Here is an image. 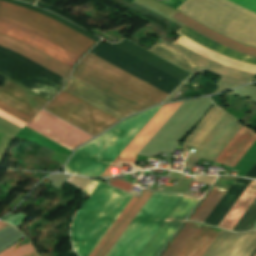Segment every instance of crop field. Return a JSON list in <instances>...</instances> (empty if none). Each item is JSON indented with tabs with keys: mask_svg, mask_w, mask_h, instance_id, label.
I'll use <instances>...</instances> for the list:
<instances>
[{
	"mask_svg": "<svg viewBox=\"0 0 256 256\" xmlns=\"http://www.w3.org/2000/svg\"><path fill=\"white\" fill-rule=\"evenodd\" d=\"M182 102L154 107L121 122L79 148L65 166L66 170L77 175L100 176L163 107L101 176L111 175V168L119 160L135 162L136 154Z\"/></svg>",
	"mask_w": 256,
	"mask_h": 256,
	"instance_id": "obj_1",
	"label": "crop field"
},
{
	"mask_svg": "<svg viewBox=\"0 0 256 256\" xmlns=\"http://www.w3.org/2000/svg\"><path fill=\"white\" fill-rule=\"evenodd\" d=\"M0 21L32 31L79 58L95 43L48 17L1 1ZM4 22H0V34L22 41L71 68L79 59L32 32Z\"/></svg>",
	"mask_w": 256,
	"mask_h": 256,
	"instance_id": "obj_2",
	"label": "crop field"
},
{
	"mask_svg": "<svg viewBox=\"0 0 256 256\" xmlns=\"http://www.w3.org/2000/svg\"><path fill=\"white\" fill-rule=\"evenodd\" d=\"M84 192L90 198L79 209L71 229L79 256L91 253L133 196L98 180H92Z\"/></svg>",
	"mask_w": 256,
	"mask_h": 256,
	"instance_id": "obj_3",
	"label": "crop field"
},
{
	"mask_svg": "<svg viewBox=\"0 0 256 256\" xmlns=\"http://www.w3.org/2000/svg\"><path fill=\"white\" fill-rule=\"evenodd\" d=\"M256 13V0H229ZM227 0H187L177 10L241 43L256 47V14Z\"/></svg>",
	"mask_w": 256,
	"mask_h": 256,
	"instance_id": "obj_4",
	"label": "crop field"
},
{
	"mask_svg": "<svg viewBox=\"0 0 256 256\" xmlns=\"http://www.w3.org/2000/svg\"><path fill=\"white\" fill-rule=\"evenodd\" d=\"M181 197L153 192L107 256H137Z\"/></svg>",
	"mask_w": 256,
	"mask_h": 256,
	"instance_id": "obj_5",
	"label": "crop field"
},
{
	"mask_svg": "<svg viewBox=\"0 0 256 256\" xmlns=\"http://www.w3.org/2000/svg\"><path fill=\"white\" fill-rule=\"evenodd\" d=\"M44 110L93 135L119 121L63 90L44 107Z\"/></svg>",
	"mask_w": 256,
	"mask_h": 256,
	"instance_id": "obj_6",
	"label": "crop field"
},
{
	"mask_svg": "<svg viewBox=\"0 0 256 256\" xmlns=\"http://www.w3.org/2000/svg\"><path fill=\"white\" fill-rule=\"evenodd\" d=\"M175 42V41H174ZM167 44L162 39L148 51L180 67L181 69L193 73L200 66L221 76L247 82L253 74L238 71L212 62L176 43Z\"/></svg>",
	"mask_w": 256,
	"mask_h": 256,
	"instance_id": "obj_7",
	"label": "crop field"
},
{
	"mask_svg": "<svg viewBox=\"0 0 256 256\" xmlns=\"http://www.w3.org/2000/svg\"><path fill=\"white\" fill-rule=\"evenodd\" d=\"M28 128L57 142L58 144L74 150L77 146L88 141L92 136L67 124L55 116L41 110L28 124Z\"/></svg>",
	"mask_w": 256,
	"mask_h": 256,
	"instance_id": "obj_8",
	"label": "crop field"
},
{
	"mask_svg": "<svg viewBox=\"0 0 256 256\" xmlns=\"http://www.w3.org/2000/svg\"><path fill=\"white\" fill-rule=\"evenodd\" d=\"M90 53V52H89ZM87 54L79 63L143 96L144 98L159 104L168 94L143 82L142 80L116 68L115 66L91 55Z\"/></svg>",
	"mask_w": 256,
	"mask_h": 256,
	"instance_id": "obj_9",
	"label": "crop field"
},
{
	"mask_svg": "<svg viewBox=\"0 0 256 256\" xmlns=\"http://www.w3.org/2000/svg\"><path fill=\"white\" fill-rule=\"evenodd\" d=\"M72 76L84 81L85 83L97 88L98 90L112 96L113 98L138 111L153 105V103L143 99L142 97L130 92L129 90L117 85L116 83L106 79L105 77L80 64Z\"/></svg>",
	"mask_w": 256,
	"mask_h": 256,
	"instance_id": "obj_10",
	"label": "crop field"
},
{
	"mask_svg": "<svg viewBox=\"0 0 256 256\" xmlns=\"http://www.w3.org/2000/svg\"><path fill=\"white\" fill-rule=\"evenodd\" d=\"M256 250V231H221L203 256H251Z\"/></svg>",
	"mask_w": 256,
	"mask_h": 256,
	"instance_id": "obj_11",
	"label": "crop field"
},
{
	"mask_svg": "<svg viewBox=\"0 0 256 256\" xmlns=\"http://www.w3.org/2000/svg\"><path fill=\"white\" fill-rule=\"evenodd\" d=\"M64 90L82 98L83 100L101 108L102 110L120 119L137 112L136 110L126 106L125 104L113 99L112 97L98 91L97 89L85 84L84 82L74 77L70 78Z\"/></svg>",
	"mask_w": 256,
	"mask_h": 256,
	"instance_id": "obj_12",
	"label": "crop field"
},
{
	"mask_svg": "<svg viewBox=\"0 0 256 256\" xmlns=\"http://www.w3.org/2000/svg\"><path fill=\"white\" fill-rule=\"evenodd\" d=\"M241 125L225 113L192 156L213 161Z\"/></svg>",
	"mask_w": 256,
	"mask_h": 256,
	"instance_id": "obj_13",
	"label": "crop field"
},
{
	"mask_svg": "<svg viewBox=\"0 0 256 256\" xmlns=\"http://www.w3.org/2000/svg\"><path fill=\"white\" fill-rule=\"evenodd\" d=\"M0 101L32 118L48 102L8 80L0 87Z\"/></svg>",
	"mask_w": 256,
	"mask_h": 256,
	"instance_id": "obj_14",
	"label": "crop field"
},
{
	"mask_svg": "<svg viewBox=\"0 0 256 256\" xmlns=\"http://www.w3.org/2000/svg\"><path fill=\"white\" fill-rule=\"evenodd\" d=\"M0 46L17 52L66 79L72 70L35 49L3 35H0Z\"/></svg>",
	"mask_w": 256,
	"mask_h": 256,
	"instance_id": "obj_15",
	"label": "crop field"
},
{
	"mask_svg": "<svg viewBox=\"0 0 256 256\" xmlns=\"http://www.w3.org/2000/svg\"><path fill=\"white\" fill-rule=\"evenodd\" d=\"M255 140L256 133L243 126L215 162L233 167Z\"/></svg>",
	"mask_w": 256,
	"mask_h": 256,
	"instance_id": "obj_16",
	"label": "crop field"
},
{
	"mask_svg": "<svg viewBox=\"0 0 256 256\" xmlns=\"http://www.w3.org/2000/svg\"><path fill=\"white\" fill-rule=\"evenodd\" d=\"M171 18L183 23L184 25L194 29L195 31L231 48L234 50H237L242 53L250 54L253 56H256V48L248 47L243 44H240L236 41H233L227 37H224L205 26L199 24L198 22L194 21L193 19L185 16L184 14L177 12L175 15H173Z\"/></svg>",
	"mask_w": 256,
	"mask_h": 256,
	"instance_id": "obj_17",
	"label": "crop field"
},
{
	"mask_svg": "<svg viewBox=\"0 0 256 256\" xmlns=\"http://www.w3.org/2000/svg\"><path fill=\"white\" fill-rule=\"evenodd\" d=\"M256 198V181L252 180L232 208L228 211L218 227L232 230L253 200Z\"/></svg>",
	"mask_w": 256,
	"mask_h": 256,
	"instance_id": "obj_18",
	"label": "crop field"
},
{
	"mask_svg": "<svg viewBox=\"0 0 256 256\" xmlns=\"http://www.w3.org/2000/svg\"><path fill=\"white\" fill-rule=\"evenodd\" d=\"M220 230L200 225L178 256H202Z\"/></svg>",
	"mask_w": 256,
	"mask_h": 256,
	"instance_id": "obj_19",
	"label": "crop field"
},
{
	"mask_svg": "<svg viewBox=\"0 0 256 256\" xmlns=\"http://www.w3.org/2000/svg\"><path fill=\"white\" fill-rule=\"evenodd\" d=\"M151 194V191H143V193L140 195V197L137 199V201L134 203V205L131 207V209L128 211V213L125 215V217L122 219V221L119 223V225L116 227V229L113 231V233L110 235V237L95 256H106V254L109 252L114 243L117 241V239L120 237V235L123 233V231L126 229V227L129 225V223L132 221L134 216L137 214V212L140 210V208Z\"/></svg>",
	"mask_w": 256,
	"mask_h": 256,
	"instance_id": "obj_20",
	"label": "crop field"
},
{
	"mask_svg": "<svg viewBox=\"0 0 256 256\" xmlns=\"http://www.w3.org/2000/svg\"><path fill=\"white\" fill-rule=\"evenodd\" d=\"M177 32L219 52V53H222L224 55H227L229 57H232L234 59H237V60H241V61H244V62H247V63H251V64H254L256 65V57H253V56H250V55H246V54H242V53H239L237 51H234V50H231L229 48H226L210 39H208L207 37L195 32L194 30L186 27V26H182Z\"/></svg>",
	"mask_w": 256,
	"mask_h": 256,
	"instance_id": "obj_21",
	"label": "crop field"
},
{
	"mask_svg": "<svg viewBox=\"0 0 256 256\" xmlns=\"http://www.w3.org/2000/svg\"><path fill=\"white\" fill-rule=\"evenodd\" d=\"M225 112L213 106L204 119L194 129L190 136L185 140L184 144L197 148L205 136L210 132L218 120Z\"/></svg>",
	"mask_w": 256,
	"mask_h": 256,
	"instance_id": "obj_22",
	"label": "crop field"
},
{
	"mask_svg": "<svg viewBox=\"0 0 256 256\" xmlns=\"http://www.w3.org/2000/svg\"><path fill=\"white\" fill-rule=\"evenodd\" d=\"M225 192L226 190L213 187L206 199L191 216L190 220L203 223Z\"/></svg>",
	"mask_w": 256,
	"mask_h": 256,
	"instance_id": "obj_23",
	"label": "crop field"
},
{
	"mask_svg": "<svg viewBox=\"0 0 256 256\" xmlns=\"http://www.w3.org/2000/svg\"><path fill=\"white\" fill-rule=\"evenodd\" d=\"M198 226V224L187 222L162 256H177Z\"/></svg>",
	"mask_w": 256,
	"mask_h": 256,
	"instance_id": "obj_24",
	"label": "crop field"
},
{
	"mask_svg": "<svg viewBox=\"0 0 256 256\" xmlns=\"http://www.w3.org/2000/svg\"><path fill=\"white\" fill-rule=\"evenodd\" d=\"M28 238V237H27ZM25 238V239H27ZM23 239L22 241H24ZM22 241L18 242L17 244L11 246L10 248L6 249L5 251L0 253V256H39L36 252L35 248L31 244L30 240L23 243L18 248H14L18 244H20Z\"/></svg>",
	"mask_w": 256,
	"mask_h": 256,
	"instance_id": "obj_25",
	"label": "crop field"
},
{
	"mask_svg": "<svg viewBox=\"0 0 256 256\" xmlns=\"http://www.w3.org/2000/svg\"><path fill=\"white\" fill-rule=\"evenodd\" d=\"M136 197H133L132 200L129 202V204L126 206V208L123 210V212L120 214V216L117 218V220L114 222V224L111 226V228L107 231V233L104 235V237L101 239V241L98 243V245L95 247V249L92 251V253L89 256H94L97 251L100 249V247L103 245V243L106 241V239L109 237V235L112 233V231L115 229V227L118 225V223L121 221V219L124 217V215L127 213V211L130 209V207L133 205V203L136 201Z\"/></svg>",
	"mask_w": 256,
	"mask_h": 256,
	"instance_id": "obj_26",
	"label": "crop field"
},
{
	"mask_svg": "<svg viewBox=\"0 0 256 256\" xmlns=\"http://www.w3.org/2000/svg\"><path fill=\"white\" fill-rule=\"evenodd\" d=\"M0 109L5 111V112H7V113H9V114H11V115H13L14 117H16V118H18V119H20V120H22V121H24L26 123L32 119V118H30V117L20 113L19 111H17L15 109L5 105L2 102H0Z\"/></svg>",
	"mask_w": 256,
	"mask_h": 256,
	"instance_id": "obj_27",
	"label": "crop field"
},
{
	"mask_svg": "<svg viewBox=\"0 0 256 256\" xmlns=\"http://www.w3.org/2000/svg\"><path fill=\"white\" fill-rule=\"evenodd\" d=\"M109 184H111V185H113V186H115L117 188L123 189L125 191H127L130 188V186H131V184L125 183V182L120 181V180L112 181Z\"/></svg>",
	"mask_w": 256,
	"mask_h": 256,
	"instance_id": "obj_28",
	"label": "crop field"
},
{
	"mask_svg": "<svg viewBox=\"0 0 256 256\" xmlns=\"http://www.w3.org/2000/svg\"><path fill=\"white\" fill-rule=\"evenodd\" d=\"M1 223H2V222H0V224H1ZM5 225H7V224H5V223L1 224V225H0V228L3 227V226H5Z\"/></svg>",
	"mask_w": 256,
	"mask_h": 256,
	"instance_id": "obj_29",
	"label": "crop field"
},
{
	"mask_svg": "<svg viewBox=\"0 0 256 256\" xmlns=\"http://www.w3.org/2000/svg\"><path fill=\"white\" fill-rule=\"evenodd\" d=\"M254 256H256V254Z\"/></svg>",
	"mask_w": 256,
	"mask_h": 256,
	"instance_id": "obj_30",
	"label": "crop field"
}]
</instances>
